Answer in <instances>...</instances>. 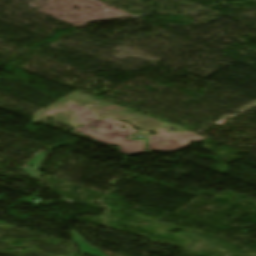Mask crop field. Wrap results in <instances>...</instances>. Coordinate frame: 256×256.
Masks as SVG:
<instances>
[{"mask_svg": "<svg viewBox=\"0 0 256 256\" xmlns=\"http://www.w3.org/2000/svg\"><path fill=\"white\" fill-rule=\"evenodd\" d=\"M71 110L78 118L76 123H81L84 126L76 128L74 130L102 143L112 144L120 146V152L123 154H143L145 141H134L126 139L131 134L137 132L132 126L123 122L117 121L113 118L97 120L95 116L90 112L87 107L75 105L71 102L67 103V106L60 109H53L45 114L51 115L63 111ZM87 122H92L88 124ZM122 125H127L128 129H122ZM94 126L95 129L99 128V131L90 129Z\"/></svg>", "mask_w": 256, "mask_h": 256, "instance_id": "crop-field-1", "label": "crop field"}, {"mask_svg": "<svg viewBox=\"0 0 256 256\" xmlns=\"http://www.w3.org/2000/svg\"><path fill=\"white\" fill-rule=\"evenodd\" d=\"M40 157H37L36 161L34 162L32 169H30L29 167H27L26 165L24 167H26V169L21 168L22 171H24L26 174H28L30 177L35 178L36 174L34 171L37 168V166L39 165L40 161L42 160V158L44 157L45 154L40 153L39 154ZM37 179V178H35Z\"/></svg>", "mask_w": 256, "mask_h": 256, "instance_id": "crop-field-4", "label": "crop field"}, {"mask_svg": "<svg viewBox=\"0 0 256 256\" xmlns=\"http://www.w3.org/2000/svg\"><path fill=\"white\" fill-rule=\"evenodd\" d=\"M158 132L156 136H148L149 151L175 152L188 147L190 141L200 142L205 139L190 132L170 134L162 129H159ZM149 141L152 142L149 143ZM160 141H163L165 144H159Z\"/></svg>", "mask_w": 256, "mask_h": 256, "instance_id": "crop-field-2", "label": "crop field"}, {"mask_svg": "<svg viewBox=\"0 0 256 256\" xmlns=\"http://www.w3.org/2000/svg\"><path fill=\"white\" fill-rule=\"evenodd\" d=\"M73 239L75 243L80 247L81 251L85 254L96 255V256H105L97 249L88 245L78 234L73 231Z\"/></svg>", "mask_w": 256, "mask_h": 256, "instance_id": "crop-field-3", "label": "crop field"}]
</instances>
